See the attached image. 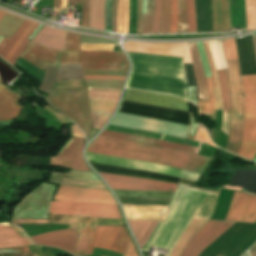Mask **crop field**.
<instances>
[{
	"instance_id": "8a807250",
	"label": "crop field",
	"mask_w": 256,
	"mask_h": 256,
	"mask_svg": "<svg viewBox=\"0 0 256 256\" xmlns=\"http://www.w3.org/2000/svg\"><path fill=\"white\" fill-rule=\"evenodd\" d=\"M89 163L97 172L154 179L175 184L179 181V178L162 174ZM217 197L214 194L178 185L165 222H158L143 249L147 250L150 245L167 248L170 249L168 256L192 218L210 219Z\"/></svg>"
},
{
	"instance_id": "ac0d7876",
	"label": "crop field",
	"mask_w": 256,
	"mask_h": 256,
	"mask_svg": "<svg viewBox=\"0 0 256 256\" xmlns=\"http://www.w3.org/2000/svg\"><path fill=\"white\" fill-rule=\"evenodd\" d=\"M126 53L132 62L126 87L177 95L188 100L182 58Z\"/></svg>"
},
{
	"instance_id": "34b2d1b8",
	"label": "crop field",
	"mask_w": 256,
	"mask_h": 256,
	"mask_svg": "<svg viewBox=\"0 0 256 256\" xmlns=\"http://www.w3.org/2000/svg\"><path fill=\"white\" fill-rule=\"evenodd\" d=\"M22 58L45 70L46 65L60 67V63H82L83 68L127 70L123 52L80 51V35L66 32L64 52L29 42Z\"/></svg>"
},
{
	"instance_id": "412701ff",
	"label": "crop field",
	"mask_w": 256,
	"mask_h": 256,
	"mask_svg": "<svg viewBox=\"0 0 256 256\" xmlns=\"http://www.w3.org/2000/svg\"><path fill=\"white\" fill-rule=\"evenodd\" d=\"M86 151L148 161L194 172H199L210 160L207 156L101 136L94 139Z\"/></svg>"
},
{
	"instance_id": "f4fd0767",
	"label": "crop field",
	"mask_w": 256,
	"mask_h": 256,
	"mask_svg": "<svg viewBox=\"0 0 256 256\" xmlns=\"http://www.w3.org/2000/svg\"><path fill=\"white\" fill-rule=\"evenodd\" d=\"M68 91H53L47 99L52 106L73 119L87 137L92 128L87 91L86 89Z\"/></svg>"
},
{
	"instance_id": "dd49c442",
	"label": "crop field",
	"mask_w": 256,
	"mask_h": 256,
	"mask_svg": "<svg viewBox=\"0 0 256 256\" xmlns=\"http://www.w3.org/2000/svg\"><path fill=\"white\" fill-rule=\"evenodd\" d=\"M244 92V128L239 156L253 160L256 153V75L241 76Z\"/></svg>"
},
{
	"instance_id": "e52e79f7",
	"label": "crop field",
	"mask_w": 256,
	"mask_h": 256,
	"mask_svg": "<svg viewBox=\"0 0 256 256\" xmlns=\"http://www.w3.org/2000/svg\"><path fill=\"white\" fill-rule=\"evenodd\" d=\"M226 63L233 99V118L226 150L237 154L241 145L242 136L243 92L237 60Z\"/></svg>"
},
{
	"instance_id": "d8731c3e",
	"label": "crop field",
	"mask_w": 256,
	"mask_h": 256,
	"mask_svg": "<svg viewBox=\"0 0 256 256\" xmlns=\"http://www.w3.org/2000/svg\"><path fill=\"white\" fill-rule=\"evenodd\" d=\"M50 213L60 215L121 219L117 205L54 201Z\"/></svg>"
},
{
	"instance_id": "5a996713",
	"label": "crop field",
	"mask_w": 256,
	"mask_h": 256,
	"mask_svg": "<svg viewBox=\"0 0 256 256\" xmlns=\"http://www.w3.org/2000/svg\"><path fill=\"white\" fill-rule=\"evenodd\" d=\"M110 125L168 133L180 137L186 138L188 132V126H184L176 123H169L163 121L152 120L148 118L138 117L129 114L117 113ZM167 134V135H168Z\"/></svg>"
},
{
	"instance_id": "3316defc",
	"label": "crop field",
	"mask_w": 256,
	"mask_h": 256,
	"mask_svg": "<svg viewBox=\"0 0 256 256\" xmlns=\"http://www.w3.org/2000/svg\"><path fill=\"white\" fill-rule=\"evenodd\" d=\"M55 186L41 184L16 207L13 218H46Z\"/></svg>"
},
{
	"instance_id": "28ad6ade",
	"label": "crop field",
	"mask_w": 256,
	"mask_h": 256,
	"mask_svg": "<svg viewBox=\"0 0 256 256\" xmlns=\"http://www.w3.org/2000/svg\"><path fill=\"white\" fill-rule=\"evenodd\" d=\"M86 156L88 161H92V162H99V163H105V164H111V165H117V166H123V167L143 169V170H148L152 172L168 174V175H172L180 178L190 179L194 181H197L198 177L200 176V174L198 173L174 169V168L165 167V166L152 164L148 162L121 159V158H115V157L104 156V155L88 153V152H86Z\"/></svg>"
},
{
	"instance_id": "d1516ede",
	"label": "crop field",
	"mask_w": 256,
	"mask_h": 256,
	"mask_svg": "<svg viewBox=\"0 0 256 256\" xmlns=\"http://www.w3.org/2000/svg\"><path fill=\"white\" fill-rule=\"evenodd\" d=\"M233 223L235 222L208 220L190 238L180 256H199L204 248L211 244Z\"/></svg>"
},
{
	"instance_id": "22f410ed",
	"label": "crop field",
	"mask_w": 256,
	"mask_h": 256,
	"mask_svg": "<svg viewBox=\"0 0 256 256\" xmlns=\"http://www.w3.org/2000/svg\"><path fill=\"white\" fill-rule=\"evenodd\" d=\"M119 112L145 116L157 120L176 122L190 126L189 113L162 107L138 104L123 100Z\"/></svg>"
},
{
	"instance_id": "cbeb9de0",
	"label": "crop field",
	"mask_w": 256,
	"mask_h": 256,
	"mask_svg": "<svg viewBox=\"0 0 256 256\" xmlns=\"http://www.w3.org/2000/svg\"><path fill=\"white\" fill-rule=\"evenodd\" d=\"M129 240L124 227L97 226L87 255L92 254L94 247L123 253Z\"/></svg>"
},
{
	"instance_id": "5142ce71",
	"label": "crop field",
	"mask_w": 256,
	"mask_h": 256,
	"mask_svg": "<svg viewBox=\"0 0 256 256\" xmlns=\"http://www.w3.org/2000/svg\"><path fill=\"white\" fill-rule=\"evenodd\" d=\"M99 174L103 177L111 189L159 190L174 192L177 187V185L160 181L123 177L103 173Z\"/></svg>"
},
{
	"instance_id": "d9b57169",
	"label": "crop field",
	"mask_w": 256,
	"mask_h": 256,
	"mask_svg": "<svg viewBox=\"0 0 256 256\" xmlns=\"http://www.w3.org/2000/svg\"><path fill=\"white\" fill-rule=\"evenodd\" d=\"M83 145L84 138L71 137L59 155L51 158L50 166L90 171L82 157Z\"/></svg>"
},
{
	"instance_id": "733c2abd",
	"label": "crop field",
	"mask_w": 256,
	"mask_h": 256,
	"mask_svg": "<svg viewBox=\"0 0 256 256\" xmlns=\"http://www.w3.org/2000/svg\"><path fill=\"white\" fill-rule=\"evenodd\" d=\"M126 51L183 57L184 63H192L187 43L156 44L127 42Z\"/></svg>"
},
{
	"instance_id": "4a817a6b",
	"label": "crop field",
	"mask_w": 256,
	"mask_h": 256,
	"mask_svg": "<svg viewBox=\"0 0 256 256\" xmlns=\"http://www.w3.org/2000/svg\"><path fill=\"white\" fill-rule=\"evenodd\" d=\"M225 220L255 223L256 196L235 191Z\"/></svg>"
},
{
	"instance_id": "bc2a9ffb",
	"label": "crop field",
	"mask_w": 256,
	"mask_h": 256,
	"mask_svg": "<svg viewBox=\"0 0 256 256\" xmlns=\"http://www.w3.org/2000/svg\"><path fill=\"white\" fill-rule=\"evenodd\" d=\"M54 200L116 204L108 190H94L63 186H60Z\"/></svg>"
},
{
	"instance_id": "214f88e0",
	"label": "crop field",
	"mask_w": 256,
	"mask_h": 256,
	"mask_svg": "<svg viewBox=\"0 0 256 256\" xmlns=\"http://www.w3.org/2000/svg\"><path fill=\"white\" fill-rule=\"evenodd\" d=\"M125 100L159 105L164 107L176 108L184 111H188V101L170 95L157 94L145 91H138L132 89H125Z\"/></svg>"
},
{
	"instance_id": "92a150f3",
	"label": "crop field",
	"mask_w": 256,
	"mask_h": 256,
	"mask_svg": "<svg viewBox=\"0 0 256 256\" xmlns=\"http://www.w3.org/2000/svg\"><path fill=\"white\" fill-rule=\"evenodd\" d=\"M78 231L61 230L46 234L32 236V240L40 245L61 248L70 253H74Z\"/></svg>"
},
{
	"instance_id": "dafd665d",
	"label": "crop field",
	"mask_w": 256,
	"mask_h": 256,
	"mask_svg": "<svg viewBox=\"0 0 256 256\" xmlns=\"http://www.w3.org/2000/svg\"><path fill=\"white\" fill-rule=\"evenodd\" d=\"M217 74H218V81H219L221 101H222V110H223L221 130L228 135L230 124H231V118H232V99H231L228 71L227 69L219 70L217 71Z\"/></svg>"
},
{
	"instance_id": "00972430",
	"label": "crop field",
	"mask_w": 256,
	"mask_h": 256,
	"mask_svg": "<svg viewBox=\"0 0 256 256\" xmlns=\"http://www.w3.org/2000/svg\"><path fill=\"white\" fill-rule=\"evenodd\" d=\"M128 219L162 220L164 221L169 206L152 205H124L122 204Z\"/></svg>"
},
{
	"instance_id": "a9b5d70f",
	"label": "crop field",
	"mask_w": 256,
	"mask_h": 256,
	"mask_svg": "<svg viewBox=\"0 0 256 256\" xmlns=\"http://www.w3.org/2000/svg\"><path fill=\"white\" fill-rule=\"evenodd\" d=\"M19 96L0 85V121L15 119L21 109Z\"/></svg>"
},
{
	"instance_id": "4177f3b9",
	"label": "crop field",
	"mask_w": 256,
	"mask_h": 256,
	"mask_svg": "<svg viewBox=\"0 0 256 256\" xmlns=\"http://www.w3.org/2000/svg\"><path fill=\"white\" fill-rule=\"evenodd\" d=\"M34 245L25 233L8 223H0V248Z\"/></svg>"
},
{
	"instance_id": "730fd06b",
	"label": "crop field",
	"mask_w": 256,
	"mask_h": 256,
	"mask_svg": "<svg viewBox=\"0 0 256 256\" xmlns=\"http://www.w3.org/2000/svg\"><path fill=\"white\" fill-rule=\"evenodd\" d=\"M79 221V235L93 236L96 227L97 218L78 217ZM79 236L75 254L77 256H86L92 237Z\"/></svg>"
},
{
	"instance_id": "eef30255",
	"label": "crop field",
	"mask_w": 256,
	"mask_h": 256,
	"mask_svg": "<svg viewBox=\"0 0 256 256\" xmlns=\"http://www.w3.org/2000/svg\"><path fill=\"white\" fill-rule=\"evenodd\" d=\"M212 1V21L213 31L229 30V0H211Z\"/></svg>"
},
{
	"instance_id": "ae1a2a85",
	"label": "crop field",
	"mask_w": 256,
	"mask_h": 256,
	"mask_svg": "<svg viewBox=\"0 0 256 256\" xmlns=\"http://www.w3.org/2000/svg\"><path fill=\"white\" fill-rule=\"evenodd\" d=\"M100 135L107 136V137H113V138H119V139H125V140H131V141H135V142L148 143V144H153V145H158V146H164V147H169V148L178 149V150L187 151V152L196 153V154H198V151H199V149H197V148L182 146V145L159 141V140L150 139V138L116 133V132L103 131Z\"/></svg>"
},
{
	"instance_id": "d3111659",
	"label": "crop field",
	"mask_w": 256,
	"mask_h": 256,
	"mask_svg": "<svg viewBox=\"0 0 256 256\" xmlns=\"http://www.w3.org/2000/svg\"><path fill=\"white\" fill-rule=\"evenodd\" d=\"M64 36V31L44 26L37 36L32 40V42L63 51Z\"/></svg>"
},
{
	"instance_id": "750c4746",
	"label": "crop field",
	"mask_w": 256,
	"mask_h": 256,
	"mask_svg": "<svg viewBox=\"0 0 256 256\" xmlns=\"http://www.w3.org/2000/svg\"><path fill=\"white\" fill-rule=\"evenodd\" d=\"M188 45H189V49H190V53H191V57H192V61H193V66H194L198 96L202 100L209 101L207 88H206V82H205V75H204V71L201 66L202 62L200 63L196 44L188 43Z\"/></svg>"
},
{
	"instance_id": "bd1437ed",
	"label": "crop field",
	"mask_w": 256,
	"mask_h": 256,
	"mask_svg": "<svg viewBox=\"0 0 256 256\" xmlns=\"http://www.w3.org/2000/svg\"><path fill=\"white\" fill-rule=\"evenodd\" d=\"M129 225L142 249L146 240L148 239L152 229L154 228L157 222L155 221H137V220H128Z\"/></svg>"
},
{
	"instance_id": "1d83c4d3",
	"label": "crop field",
	"mask_w": 256,
	"mask_h": 256,
	"mask_svg": "<svg viewBox=\"0 0 256 256\" xmlns=\"http://www.w3.org/2000/svg\"><path fill=\"white\" fill-rule=\"evenodd\" d=\"M104 6L105 0H90L89 28L104 31Z\"/></svg>"
},
{
	"instance_id": "120bbe31",
	"label": "crop field",
	"mask_w": 256,
	"mask_h": 256,
	"mask_svg": "<svg viewBox=\"0 0 256 256\" xmlns=\"http://www.w3.org/2000/svg\"><path fill=\"white\" fill-rule=\"evenodd\" d=\"M107 129L123 131V132H128V133H134V134L150 136V137H156V138L170 139V140L179 141V142H183V143H187V144H192V145H196V146H200V144H201L200 142H196V141H192V140H188V139H184V138H180V137H176V136H172V135H167V134L152 133V132H146V131L122 128V127H115V126H110V125H108ZM111 130H109V131H111ZM164 139H160V140H164ZM170 140H165V141H170ZM174 141H170V142H174ZM175 143H178V142H175ZM183 143H181V144H183Z\"/></svg>"
},
{
	"instance_id": "d32e631a",
	"label": "crop field",
	"mask_w": 256,
	"mask_h": 256,
	"mask_svg": "<svg viewBox=\"0 0 256 256\" xmlns=\"http://www.w3.org/2000/svg\"><path fill=\"white\" fill-rule=\"evenodd\" d=\"M207 220H195L192 219L190 224L187 226L177 243L175 244L171 254L169 256H179L182 249L189 238L206 222Z\"/></svg>"
},
{
	"instance_id": "5866460e",
	"label": "crop field",
	"mask_w": 256,
	"mask_h": 256,
	"mask_svg": "<svg viewBox=\"0 0 256 256\" xmlns=\"http://www.w3.org/2000/svg\"><path fill=\"white\" fill-rule=\"evenodd\" d=\"M231 29H245V6L244 0H230Z\"/></svg>"
},
{
	"instance_id": "028f5c9d",
	"label": "crop field",
	"mask_w": 256,
	"mask_h": 256,
	"mask_svg": "<svg viewBox=\"0 0 256 256\" xmlns=\"http://www.w3.org/2000/svg\"><path fill=\"white\" fill-rule=\"evenodd\" d=\"M206 81H207L210 102L197 100V103L199 106V112L210 116L211 119L215 121L216 111H215L214 91H213L211 77L206 78Z\"/></svg>"
},
{
	"instance_id": "e1f06a70",
	"label": "crop field",
	"mask_w": 256,
	"mask_h": 256,
	"mask_svg": "<svg viewBox=\"0 0 256 256\" xmlns=\"http://www.w3.org/2000/svg\"><path fill=\"white\" fill-rule=\"evenodd\" d=\"M117 22L118 33H128L129 0H118Z\"/></svg>"
},
{
	"instance_id": "0bd39190",
	"label": "crop field",
	"mask_w": 256,
	"mask_h": 256,
	"mask_svg": "<svg viewBox=\"0 0 256 256\" xmlns=\"http://www.w3.org/2000/svg\"><path fill=\"white\" fill-rule=\"evenodd\" d=\"M117 196L123 197H151V198H169L171 199L174 193L158 192V191H127L113 190Z\"/></svg>"
},
{
	"instance_id": "b80d0937",
	"label": "crop field",
	"mask_w": 256,
	"mask_h": 256,
	"mask_svg": "<svg viewBox=\"0 0 256 256\" xmlns=\"http://www.w3.org/2000/svg\"><path fill=\"white\" fill-rule=\"evenodd\" d=\"M24 19L6 14L0 22V35L12 36Z\"/></svg>"
},
{
	"instance_id": "c035e120",
	"label": "crop field",
	"mask_w": 256,
	"mask_h": 256,
	"mask_svg": "<svg viewBox=\"0 0 256 256\" xmlns=\"http://www.w3.org/2000/svg\"><path fill=\"white\" fill-rule=\"evenodd\" d=\"M88 96L92 99L118 101L121 90H104V89H92L87 88Z\"/></svg>"
},
{
	"instance_id": "c21b1889",
	"label": "crop field",
	"mask_w": 256,
	"mask_h": 256,
	"mask_svg": "<svg viewBox=\"0 0 256 256\" xmlns=\"http://www.w3.org/2000/svg\"><path fill=\"white\" fill-rule=\"evenodd\" d=\"M31 21L25 20L23 24L18 28L12 37H4L0 43V56L4 58L7 52L10 50L17 38L23 33V31L30 25Z\"/></svg>"
},
{
	"instance_id": "03da06ac",
	"label": "crop field",
	"mask_w": 256,
	"mask_h": 256,
	"mask_svg": "<svg viewBox=\"0 0 256 256\" xmlns=\"http://www.w3.org/2000/svg\"><path fill=\"white\" fill-rule=\"evenodd\" d=\"M202 43H203V46H204V49H205V52H206L207 60H208V63H209V67H210V71H211V75H212V79H213V85H214V91H215V101H216V110H221L220 93H219L217 75H216V71H215L214 64H213V61H212V57H211V54H210L208 42L204 41Z\"/></svg>"
},
{
	"instance_id": "b54c1fbb",
	"label": "crop field",
	"mask_w": 256,
	"mask_h": 256,
	"mask_svg": "<svg viewBox=\"0 0 256 256\" xmlns=\"http://www.w3.org/2000/svg\"><path fill=\"white\" fill-rule=\"evenodd\" d=\"M63 177L98 180L92 172L69 171L67 174L52 173L50 182L60 184Z\"/></svg>"
},
{
	"instance_id": "5d738f31",
	"label": "crop field",
	"mask_w": 256,
	"mask_h": 256,
	"mask_svg": "<svg viewBox=\"0 0 256 256\" xmlns=\"http://www.w3.org/2000/svg\"><path fill=\"white\" fill-rule=\"evenodd\" d=\"M87 87L105 88V89H121L122 80H85Z\"/></svg>"
},
{
	"instance_id": "d23c7cc5",
	"label": "crop field",
	"mask_w": 256,
	"mask_h": 256,
	"mask_svg": "<svg viewBox=\"0 0 256 256\" xmlns=\"http://www.w3.org/2000/svg\"><path fill=\"white\" fill-rule=\"evenodd\" d=\"M154 13V0H147L146 14H143L141 33H151Z\"/></svg>"
},
{
	"instance_id": "425ffa30",
	"label": "crop field",
	"mask_w": 256,
	"mask_h": 256,
	"mask_svg": "<svg viewBox=\"0 0 256 256\" xmlns=\"http://www.w3.org/2000/svg\"><path fill=\"white\" fill-rule=\"evenodd\" d=\"M61 185L94 189H106L100 181L89 180L64 179Z\"/></svg>"
},
{
	"instance_id": "25e5ab78",
	"label": "crop field",
	"mask_w": 256,
	"mask_h": 256,
	"mask_svg": "<svg viewBox=\"0 0 256 256\" xmlns=\"http://www.w3.org/2000/svg\"><path fill=\"white\" fill-rule=\"evenodd\" d=\"M170 25V0H162L160 33L168 32Z\"/></svg>"
},
{
	"instance_id": "73cf0c24",
	"label": "crop field",
	"mask_w": 256,
	"mask_h": 256,
	"mask_svg": "<svg viewBox=\"0 0 256 256\" xmlns=\"http://www.w3.org/2000/svg\"><path fill=\"white\" fill-rule=\"evenodd\" d=\"M178 32H188L186 0H179Z\"/></svg>"
},
{
	"instance_id": "89e229c0",
	"label": "crop field",
	"mask_w": 256,
	"mask_h": 256,
	"mask_svg": "<svg viewBox=\"0 0 256 256\" xmlns=\"http://www.w3.org/2000/svg\"><path fill=\"white\" fill-rule=\"evenodd\" d=\"M248 30L256 29V0H246Z\"/></svg>"
},
{
	"instance_id": "1f2cbd36",
	"label": "crop field",
	"mask_w": 256,
	"mask_h": 256,
	"mask_svg": "<svg viewBox=\"0 0 256 256\" xmlns=\"http://www.w3.org/2000/svg\"><path fill=\"white\" fill-rule=\"evenodd\" d=\"M91 110L114 112L118 102H108L89 99Z\"/></svg>"
},
{
	"instance_id": "dbb93151",
	"label": "crop field",
	"mask_w": 256,
	"mask_h": 256,
	"mask_svg": "<svg viewBox=\"0 0 256 256\" xmlns=\"http://www.w3.org/2000/svg\"><path fill=\"white\" fill-rule=\"evenodd\" d=\"M222 44L226 61L237 59L234 38L224 39Z\"/></svg>"
},
{
	"instance_id": "0fb4a251",
	"label": "crop field",
	"mask_w": 256,
	"mask_h": 256,
	"mask_svg": "<svg viewBox=\"0 0 256 256\" xmlns=\"http://www.w3.org/2000/svg\"><path fill=\"white\" fill-rule=\"evenodd\" d=\"M92 113V122L93 128L101 130L103 125L107 122V120L111 117L112 113L110 112H95Z\"/></svg>"
},
{
	"instance_id": "1d79db26",
	"label": "crop field",
	"mask_w": 256,
	"mask_h": 256,
	"mask_svg": "<svg viewBox=\"0 0 256 256\" xmlns=\"http://www.w3.org/2000/svg\"><path fill=\"white\" fill-rule=\"evenodd\" d=\"M189 32H196L194 0H187Z\"/></svg>"
},
{
	"instance_id": "9d1cf04e",
	"label": "crop field",
	"mask_w": 256,
	"mask_h": 256,
	"mask_svg": "<svg viewBox=\"0 0 256 256\" xmlns=\"http://www.w3.org/2000/svg\"><path fill=\"white\" fill-rule=\"evenodd\" d=\"M178 5L177 0H171V26L170 33L177 32Z\"/></svg>"
},
{
	"instance_id": "447ae74e",
	"label": "crop field",
	"mask_w": 256,
	"mask_h": 256,
	"mask_svg": "<svg viewBox=\"0 0 256 256\" xmlns=\"http://www.w3.org/2000/svg\"><path fill=\"white\" fill-rule=\"evenodd\" d=\"M85 75H111V76H125L127 71H112V70H90L84 69Z\"/></svg>"
},
{
	"instance_id": "0765c3eb",
	"label": "crop field",
	"mask_w": 256,
	"mask_h": 256,
	"mask_svg": "<svg viewBox=\"0 0 256 256\" xmlns=\"http://www.w3.org/2000/svg\"><path fill=\"white\" fill-rule=\"evenodd\" d=\"M161 18V0H155V16L152 33H159Z\"/></svg>"
},
{
	"instance_id": "db79e9e6",
	"label": "crop field",
	"mask_w": 256,
	"mask_h": 256,
	"mask_svg": "<svg viewBox=\"0 0 256 256\" xmlns=\"http://www.w3.org/2000/svg\"><path fill=\"white\" fill-rule=\"evenodd\" d=\"M35 24V22H32L28 29L18 38V40L16 41V43L14 44V46L12 47V49L10 50V52L8 53L4 60L9 62V60L11 59V57L13 56V54L15 53V51L17 50L25 36L28 34V32L33 28Z\"/></svg>"
},
{
	"instance_id": "7b73153f",
	"label": "crop field",
	"mask_w": 256,
	"mask_h": 256,
	"mask_svg": "<svg viewBox=\"0 0 256 256\" xmlns=\"http://www.w3.org/2000/svg\"><path fill=\"white\" fill-rule=\"evenodd\" d=\"M119 46V45H117ZM111 44H81V50H107L112 51Z\"/></svg>"
},
{
	"instance_id": "78b8030e",
	"label": "crop field",
	"mask_w": 256,
	"mask_h": 256,
	"mask_svg": "<svg viewBox=\"0 0 256 256\" xmlns=\"http://www.w3.org/2000/svg\"><path fill=\"white\" fill-rule=\"evenodd\" d=\"M27 252H33L31 246L20 247V248H4V249H0V255L27 253Z\"/></svg>"
},
{
	"instance_id": "0f1d7ab4",
	"label": "crop field",
	"mask_w": 256,
	"mask_h": 256,
	"mask_svg": "<svg viewBox=\"0 0 256 256\" xmlns=\"http://www.w3.org/2000/svg\"><path fill=\"white\" fill-rule=\"evenodd\" d=\"M88 22H89V0H82L81 26L88 28Z\"/></svg>"
},
{
	"instance_id": "e1d0b9f6",
	"label": "crop field",
	"mask_w": 256,
	"mask_h": 256,
	"mask_svg": "<svg viewBox=\"0 0 256 256\" xmlns=\"http://www.w3.org/2000/svg\"><path fill=\"white\" fill-rule=\"evenodd\" d=\"M111 3H112V0H106L105 31H111L112 32V25H111Z\"/></svg>"
},
{
	"instance_id": "ae633e8c",
	"label": "crop field",
	"mask_w": 256,
	"mask_h": 256,
	"mask_svg": "<svg viewBox=\"0 0 256 256\" xmlns=\"http://www.w3.org/2000/svg\"><path fill=\"white\" fill-rule=\"evenodd\" d=\"M196 141H200V142H203V143H206V144H209V145H213L215 146L208 138L207 136V133L205 131V128L204 126L200 123L199 125V129H198V132H197V136H196Z\"/></svg>"
},
{
	"instance_id": "d14b1444",
	"label": "crop field",
	"mask_w": 256,
	"mask_h": 256,
	"mask_svg": "<svg viewBox=\"0 0 256 256\" xmlns=\"http://www.w3.org/2000/svg\"><path fill=\"white\" fill-rule=\"evenodd\" d=\"M196 44H197L198 52H199V55H200V59H201L202 66H203V68H204L205 74H206V76H211V75H210L209 68H208V64H207L206 57H205V55H204L202 43H201V42H198V43H196Z\"/></svg>"
},
{
	"instance_id": "c39391a2",
	"label": "crop field",
	"mask_w": 256,
	"mask_h": 256,
	"mask_svg": "<svg viewBox=\"0 0 256 256\" xmlns=\"http://www.w3.org/2000/svg\"><path fill=\"white\" fill-rule=\"evenodd\" d=\"M39 25V23H37L35 25V27L30 31V33L27 35V37L24 39V41L22 42V44L20 45V47L18 48V50L16 51V53L14 54V56L12 57V59L10 60V64L13 66V64L15 63V61L17 60V58L20 56L22 50L25 48L27 42L29 40H27V38L29 37V35L35 30V28Z\"/></svg>"
},
{
	"instance_id": "ade564c9",
	"label": "crop field",
	"mask_w": 256,
	"mask_h": 256,
	"mask_svg": "<svg viewBox=\"0 0 256 256\" xmlns=\"http://www.w3.org/2000/svg\"><path fill=\"white\" fill-rule=\"evenodd\" d=\"M190 119H191V126H190V129H189V133H188V137L187 138L194 140L196 132H197L198 123H194L191 114H190Z\"/></svg>"
},
{
	"instance_id": "c5b07064",
	"label": "crop field",
	"mask_w": 256,
	"mask_h": 256,
	"mask_svg": "<svg viewBox=\"0 0 256 256\" xmlns=\"http://www.w3.org/2000/svg\"><path fill=\"white\" fill-rule=\"evenodd\" d=\"M122 256H137V253L132 241H130V243L128 244Z\"/></svg>"
},
{
	"instance_id": "c3a83c6f",
	"label": "crop field",
	"mask_w": 256,
	"mask_h": 256,
	"mask_svg": "<svg viewBox=\"0 0 256 256\" xmlns=\"http://www.w3.org/2000/svg\"><path fill=\"white\" fill-rule=\"evenodd\" d=\"M116 6H117V0H113L112 23H113V32H115V33H117Z\"/></svg>"
},
{
	"instance_id": "fb207236",
	"label": "crop field",
	"mask_w": 256,
	"mask_h": 256,
	"mask_svg": "<svg viewBox=\"0 0 256 256\" xmlns=\"http://www.w3.org/2000/svg\"><path fill=\"white\" fill-rule=\"evenodd\" d=\"M141 29V0H138V9H137V33H140Z\"/></svg>"
},
{
	"instance_id": "7312dd0a",
	"label": "crop field",
	"mask_w": 256,
	"mask_h": 256,
	"mask_svg": "<svg viewBox=\"0 0 256 256\" xmlns=\"http://www.w3.org/2000/svg\"><path fill=\"white\" fill-rule=\"evenodd\" d=\"M125 77H111V76H85V79H122Z\"/></svg>"
},
{
	"instance_id": "180be81f",
	"label": "crop field",
	"mask_w": 256,
	"mask_h": 256,
	"mask_svg": "<svg viewBox=\"0 0 256 256\" xmlns=\"http://www.w3.org/2000/svg\"><path fill=\"white\" fill-rule=\"evenodd\" d=\"M189 100L196 103L195 87L188 88Z\"/></svg>"
},
{
	"instance_id": "f0312440",
	"label": "crop field",
	"mask_w": 256,
	"mask_h": 256,
	"mask_svg": "<svg viewBox=\"0 0 256 256\" xmlns=\"http://www.w3.org/2000/svg\"><path fill=\"white\" fill-rule=\"evenodd\" d=\"M72 136L84 137L83 133L75 125L72 126Z\"/></svg>"
},
{
	"instance_id": "1f1604b0",
	"label": "crop field",
	"mask_w": 256,
	"mask_h": 256,
	"mask_svg": "<svg viewBox=\"0 0 256 256\" xmlns=\"http://www.w3.org/2000/svg\"><path fill=\"white\" fill-rule=\"evenodd\" d=\"M38 223V220H13V224Z\"/></svg>"
},
{
	"instance_id": "819c52e7",
	"label": "crop field",
	"mask_w": 256,
	"mask_h": 256,
	"mask_svg": "<svg viewBox=\"0 0 256 256\" xmlns=\"http://www.w3.org/2000/svg\"><path fill=\"white\" fill-rule=\"evenodd\" d=\"M249 253L251 256H256V245L249 249Z\"/></svg>"
},
{
	"instance_id": "c821d689",
	"label": "crop field",
	"mask_w": 256,
	"mask_h": 256,
	"mask_svg": "<svg viewBox=\"0 0 256 256\" xmlns=\"http://www.w3.org/2000/svg\"><path fill=\"white\" fill-rule=\"evenodd\" d=\"M61 0H54V8L60 9Z\"/></svg>"
},
{
	"instance_id": "a0ae1fb6",
	"label": "crop field",
	"mask_w": 256,
	"mask_h": 256,
	"mask_svg": "<svg viewBox=\"0 0 256 256\" xmlns=\"http://www.w3.org/2000/svg\"><path fill=\"white\" fill-rule=\"evenodd\" d=\"M43 25H39L38 28L32 33V35L29 37V39H32L33 36L38 32V30L42 27Z\"/></svg>"
},
{
	"instance_id": "8de936bc",
	"label": "crop field",
	"mask_w": 256,
	"mask_h": 256,
	"mask_svg": "<svg viewBox=\"0 0 256 256\" xmlns=\"http://www.w3.org/2000/svg\"><path fill=\"white\" fill-rule=\"evenodd\" d=\"M64 4H65V10H66V7H67V0H62L61 10H63Z\"/></svg>"
},
{
	"instance_id": "920284fa",
	"label": "crop field",
	"mask_w": 256,
	"mask_h": 256,
	"mask_svg": "<svg viewBox=\"0 0 256 256\" xmlns=\"http://www.w3.org/2000/svg\"><path fill=\"white\" fill-rule=\"evenodd\" d=\"M145 2L146 0H142V13H145Z\"/></svg>"
},
{
	"instance_id": "f47e1a6f",
	"label": "crop field",
	"mask_w": 256,
	"mask_h": 256,
	"mask_svg": "<svg viewBox=\"0 0 256 256\" xmlns=\"http://www.w3.org/2000/svg\"><path fill=\"white\" fill-rule=\"evenodd\" d=\"M68 3H81V0H68Z\"/></svg>"
},
{
	"instance_id": "5edd877f",
	"label": "crop field",
	"mask_w": 256,
	"mask_h": 256,
	"mask_svg": "<svg viewBox=\"0 0 256 256\" xmlns=\"http://www.w3.org/2000/svg\"><path fill=\"white\" fill-rule=\"evenodd\" d=\"M6 12L0 11V20L2 19V17L5 15Z\"/></svg>"
},
{
	"instance_id": "3620e2b9",
	"label": "crop field",
	"mask_w": 256,
	"mask_h": 256,
	"mask_svg": "<svg viewBox=\"0 0 256 256\" xmlns=\"http://www.w3.org/2000/svg\"><path fill=\"white\" fill-rule=\"evenodd\" d=\"M253 39H254L255 52H256V36H253Z\"/></svg>"
},
{
	"instance_id": "999ad59e",
	"label": "crop field",
	"mask_w": 256,
	"mask_h": 256,
	"mask_svg": "<svg viewBox=\"0 0 256 256\" xmlns=\"http://www.w3.org/2000/svg\"><path fill=\"white\" fill-rule=\"evenodd\" d=\"M243 256H249V254H248V253H245Z\"/></svg>"
},
{
	"instance_id": "60d6c31b",
	"label": "crop field",
	"mask_w": 256,
	"mask_h": 256,
	"mask_svg": "<svg viewBox=\"0 0 256 256\" xmlns=\"http://www.w3.org/2000/svg\"><path fill=\"white\" fill-rule=\"evenodd\" d=\"M254 162H256V156H255V158H254V160H253Z\"/></svg>"
},
{
	"instance_id": "bec16c9f",
	"label": "crop field",
	"mask_w": 256,
	"mask_h": 256,
	"mask_svg": "<svg viewBox=\"0 0 256 256\" xmlns=\"http://www.w3.org/2000/svg\"><path fill=\"white\" fill-rule=\"evenodd\" d=\"M3 39V37H0V41Z\"/></svg>"
}]
</instances>
